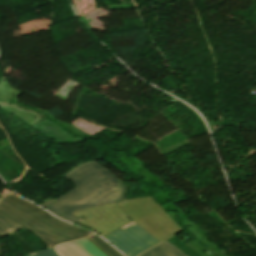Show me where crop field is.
<instances>
[{
	"label": "crop field",
	"instance_id": "crop-field-1",
	"mask_svg": "<svg viewBox=\"0 0 256 256\" xmlns=\"http://www.w3.org/2000/svg\"><path fill=\"white\" fill-rule=\"evenodd\" d=\"M40 209L6 190L0 202V238L25 227L50 248L92 234L61 222Z\"/></svg>",
	"mask_w": 256,
	"mask_h": 256
},
{
	"label": "crop field",
	"instance_id": "crop-field-6",
	"mask_svg": "<svg viewBox=\"0 0 256 256\" xmlns=\"http://www.w3.org/2000/svg\"><path fill=\"white\" fill-rule=\"evenodd\" d=\"M105 238L128 256H137L161 243L134 222L105 236Z\"/></svg>",
	"mask_w": 256,
	"mask_h": 256
},
{
	"label": "crop field",
	"instance_id": "crop-field-16",
	"mask_svg": "<svg viewBox=\"0 0 256 256\" xmlns=\"http://www.w3.org/2000/svg\"><path fill=\"white\" fill-rule=\"evenodd\" d=\"M27 256H59V255L55 252L54 248H50V249L44 250L42 252L30 254Z\"/></svg>",
	"mask_w": 256,
	"mask_h": 256
},
{
	"label": "crop field",
	"instance_id": "crop-field-12",
	"mask_svg": "<svg viewBox=\"0 0 256 256\" xmlns=\"http://www.w3.org/2000/svg\"><path fill=\"white\" fill-rule=\"evenodd\" d=\"M87 239L100 251H102L106 256H122L118 251H116L112 246H110L103 239L93 234Z\"/></svg>",
	"mask_w": 256,
	"mask_h": 256
},
{
	"label": "crop field",
	"instance_id": "crop-field-9",
	"mask_svg": "<svg viewBox=\"0 0 256 256\" xmlns=\"http://www.w3.org/2000/svg\"><path fill=\"white\" fill-rule=\"evenodd\" d=\"M152 197L158 202V204L164 209V211L177 212L183 225L186 228L189 227L190 225L194 224V222L187 216V214L185 212H183L181 209H179L177 206H175L172 203V199H171L168 191H165L161 194L154 195Z\"/></svg>",
	"mask_w": 256,
	"mask_h": 256
},
{
	"label": "crop field",
	"instance_id": "crop-field-13",
	"mask_svg": "<svg viewBox=\"0 0 256 256\" xmlns=\"http://www.w3.org/2000/svg\"><path fill=\"white\" fill-rule=\"evenodd\" d=\"M56 250L62 256H90L87 252H85L74 242L58 246Z\"/></svg>",
	"mask_w": 256,
	"mask_h": 256
},
{
	"label": "crop field",
	"instance_id": "crop-field-15",
	"mask_svg": "<svg viewBox=\"0 0 256 256\" xmlns=\"http://www.w3.org/2000/svg\"><path fill=\"white\" fill-rule=\"evenodd\" d=\"M80 247L87 251L91 256H105L96 249L86 238L75 241Z\"/></svg>",
	"mask_w": 256,
	"mask_h": 256
},
{
	"label": "crop field",
	"instance_id": "crop-field-7",
	"mask_svg": "<svg viewBox=\"0 0 256 256\" xmlns=\"http://www.w3.org/2000/svg\"><path fill=\"white\" fill-rule=\"evenodd\" d=\"M111 172L107 170L104 166L93 161L86 163L79 168L73 170L65 177L75 186L90 181L102 176L110 175Z\"/></svg>",
	"mask_w": 256,
	"mask_h": 256
},
{
	"label": "crop field",
	"instance_id": "crop-field-18",
	"mask_svg": "<svg viewBox=\"0 0 256 256\" xmlns=\"http://www.w3.org/2000/svg\"><path fill=\"white\" fill-rule=\"evenodd\" d=\"M0 256H1V244H0Z\"/></svg>",
	"mask_w": 256,
	"mask_h": 256
},
{
	"label": "crop field",
	"instance_id": "crop-field-2",
	"mask_svg": "<svg viewBox=\"0 0 256 256\" xmlns=\"http://www.w3.org/2000/svg\"><path fill=\"white\" fill-rule=\"evenodd\" d=\"M128 189L114 174L83 183L56 200L40 204L51 213L81 225L71 214L87 207L125 200Z\"/></svg>",
	"mask_w": 256,
	"mask_h": 256
},
{
	"label": "crop field",
	"instance_id": "crop-field-5",
	"mask_svg": "<svg viewBox=\"0 0 256 256\" xmlns=\"http://www.w3.org/2000/svg\"><path fill=\"white\" fill-rule=\"evenodd\" d=\"M73 215L82 226L94 230L102 236L133 221L115 203L84 209L74 212Z\"/></svg>",
	"mask_w": 256,
	"mask_h": 256
},
{
	"label": "crop field",
	"instance_id": "crop-field-8",
	"mask_svg": "<svg viewBox=\"0 0 256 256\" xmlns=\"http://www.w3.org/2000/svg\"><path fill=\"white\" fill-rule=\"evenodd\" d=\"M118 158L122 160L124 162L125 167L139 179H141L144 182L153 184L159 187L160 189L162 188L159 182L156 180V178L145 168L147 165H145L144 163H142L141 161L137 160L134 157L127 158L126 156H123Z\"/></svg>",
	"mask_w": 256,
	"mask_h": 256
},
{
	"label": "crop field",
	"instance_id": "crop-field-17",
	"mask_svg": "<svg viewBox=\"0 0 256 256\" xmlns=\"http://www.w3.org/2000/svg\"><path fill=\"white\" fill-rule=\"evenodd\" d=\"M170 215V217L182 228V229H185L184 226L182 225L179 217H177V214L176 213H173V212H166Z\"/></svg>",
	"mask_w": 256,
	"mask_h": 256
},
{
	"label": "crop field",
	"instance_id": "crop-field-4",
	"mask_svg": "<svg viewBox=\"0 0 256 256\" xmlns=\"http://www.w3.org/2000/svg\"><path fill=\"white\" fill-rule=\"evenodd\" d=\"M137 224L158 240L182 231V229L162 210L150 196L116 202Z\"/></svg>",
	"mask_w": 256,
	"mask_h": 256
},
{
	"label": "crop field",
	"instance_id": "crop-field-14",
	"mask_svg": "<svg viewBox=\"0 0 256 256\" xmlns=\"http://www.w3.org/2000/svg\"><path fill=\"white\" fill-rule=\"evenodd\" d=\"M167 241H169L175 247L186 253L187 256H201L194 249L182 243L176 236L168 239Z\"/></svg>",
	"mask_w": 256,
	"mask_h": 256
},
{
	"label": "crop field",
	"instance_id": "crop-field-3",
	"mask_svg": "<svg viewBox=\"0 0 256 256\" xmlns=\"http://www.w3.org/2000/svg\"><path fill=\"white\" fill-rule=\"evenodd\" d=\"M22 93L23 91L11 86L3 76L0 80V109L16 115L41 134L51 138L55 144L81 142L90 137L72 125L52 117L45 109L19 103L17 96Z\"/></svg>",
	"mask_w": 256,
	"mask_h": 256
},
{
	"label": "crop field",
	"instance_id": "crop-field-11",
	"mask_svg": "<svg viewBox=\"0 0 256 256\" xmlns=\"http://www.w3.org/2000/svg\"><path fill=\"white\" fill-rule=\"evenodd\" d=\"M140 256H186L167 241L147 250Z\"/></svg>",
	"mask_w": 256,
	"mask_h": 256
},
{
	"label": "crop field",
	"instance_id": "crop-field-10",
	"mask_svg": "<svg viewBox=\"0 0 256 256\" xmlns=\"http://www.w3.org/2000/svg\"><path fill=\"white\" fill-rule=\"evenodd\" d=\"M189 233H191L194 237H196L199 241H201L202 243H204L208 248H210L211 250H213L215 253H217L219 256H223L221 249L218 245H215L213 243H211L209 240H207L200 232L199 228L196 226V224H194L193 226L189 227L186 229ZM189 246H191L192 248H194L196 251H198L202 256H208L207 254H205L202 250L206 249L204 248L202 245H200L199 243H197L196 241L187 243ZM211 254L209 256H214V254Z\"/></svg>",
	"mask_w": 256,
	"mask_h": 256
}]
</instances>
